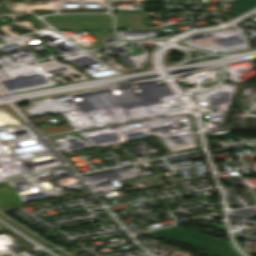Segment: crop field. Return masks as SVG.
<instances>
[{"mask_svg":"<svg viewBox=\"0 0 256 256\" xmlns=\"http://www.w3.org/2000/svg\"><path fill=\"white\" fill-rule=\"evenodd\" d=\"M38 129L40 130L41 133L50 134V133L70 130L72 129V127L68 123H64L63 125H57V126L40 125L38 126Z\"/></svg>","mask_w":256,"mask_h":256,"instance_id":"obj_2","label":"crop field"},{"mask_svg":"<svg viewBox=\"0 0 256 256\" xmlns=\"http://www.w3.org/2000/svg\"><path fill=\"white\" fill-rule=\"evenodd\" d=\"M203 251L214 256H239L229 243L176 226L148 232Z\"/></svg>","mask_w":256,"mask_h":256,"instance_id":"obj_1","label":"crop field"},{"mask_svg":"<svg viewBox=\"0 0 256 256\" xmlns=\"http://www.w3.org/2000/svg\"><path fill=\"white\" fill-rule=\"evenodd\" d=\"M5 15H8L4 10L3 8L0 6V17L2 16H5Z\"/></svg>","mask_w":256,"mask_h":256,"instance_id":"obj_3","label":"crop field"}]
</instances>
